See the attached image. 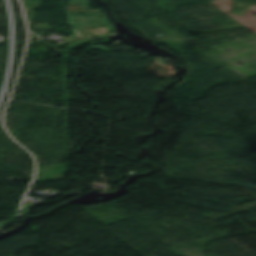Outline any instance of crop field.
Listing matches in <instances>:
<instances>
[{"label":"crop field","mask_w":256,"mask_h":256,"mask_svg":"<svg viewBox=\"0 0 256 256\" xmlns=\"http://www.w3.org/2000/svg\"><path fill=\"white\" fill-rule=\"evenodd\" d=\"M66 10L74 28L110 26L100 10H90L88 0H69Z\"/></svg>","instance_id":"crop-field-1"}]
</instances>
